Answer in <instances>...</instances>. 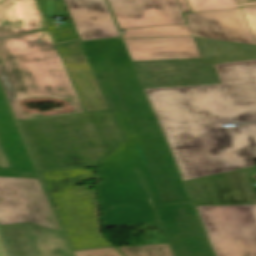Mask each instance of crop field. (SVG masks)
Instances as JSON below:
<instances>
[{
	"label": "crop field",
	"instance_id": "obj_11",
	"mask_svg": "<svg viewBox=\"0 0 256 256\" xmlns=\"http://www.w3.org/2000/svg\"><path fill=\"white\" fill-rule=\"evenodd\" d=\"M185 16L194 36L256 45L241 8L189 13Z\"/></svg>",
	"mask_w": 256,
	"mask_h": 256
},
{
	"label": "crop field",
	"instance_id": "obj_2",
	"mask_svg": "<svg viewBox=\"0 0 256 256\" xmlns=\"http://www.w3.org/2000/svg\"><path fill=\"white\" fill-rule=\"evenodd\" d=\"M121 39L82 43L152 205L191 202Z\"/></svg>",
	"mask_w": 256,
	"mask_h": 256
},
{
	"label": "crop field",
	"instance_id": "obj_21",
	"mask_svg": "<svg viewBox=\"0 0 256 256\" xmlns=\"http://www.w3.org/2000/svg\"><path fill=\"white\" fill-rule=\"evenodd\" d=\"M192 12L256 5V0H188Z\"/></svg>",
	"mask_w": 256,
	"mask_h": 256
},
{
	"label": "crop field",
	"instance_id": "obj_12",
	"mask_svg": "<svg viewBox=\"0 0 256 256\" xmlns=\"http://www.w3.org/2000/svg\"><path fill=\"white\" fill-rule=\"evenodd\" d=\"M0 177L39 178L1 90Z\"/></svg>",
	"mask_w": 256,
	"mask_h": 256
},
{
	"label": "crop field",
	"instance_id": "obj_8",
	"mask_svg": "<svg viewBox=\"0 0 256 256\" xmlns=\"http://www.w3.org/2000/svg\"><path fill=\"white\" fill-rule=\"evenodd\" d=\"M120 29L186 23L187 0H108Z\"/></svg>",
	"mask_w": 256,
	"mask_h": 256
},
{
	"label": "crop field",
	"instance_id": "obj_1",
	"mask_svg": "<svg viewBox=\"0 0 256 256\" xmlns=\"http://www.w3.org/2000/svg\"><path fill=\"white\" fill-rule=\"evenodd\" d=\"M223 84L146 89L185 181L256 165V60L215 65Z\"/></svg>",
	"mask_w": 256,
	"mask_h": 256
},
{
	"label": "crop field",
	"instance_id": "obj_19",
	"mask_svg": "<svg viewBox=\"0 0 256 256\" xmlns=\"http://www.w3.org/2000/svg\"><path fill=\"white\" fill-rule=\"evenodd\" d=\"M56 43L78 39L72 25L59 26L53 16H65L61 0H37Z\"/></svg>",
	"mask_w": 256,
	"mask_h": 256
},
{
	"label": "crop field",
	"instance_id": "obj_20",
	"mask_svg": "<svg viewBox=\"0 0 256 256\" xmlns=\"http://www.w3.org/2000/svg\"><path fill=\"white\" fill-rule=\"evenodd\" d=\"M124 38L193 35L188 24L127 29Z\"/></svg>",
	"mask_w": 256,
	"mask_h": 256
},
{
	"label": "crop field",
	"instance_id": "obj_9",
	"mask_svg": "<svg viewBox=\"0 0 256 256\" xmlns=\"http://www.w3.org/2000/svg\"><path fill=\"white\" fill-rule=\"evenodd\" d=\"M146 88L222 83L202 59L134 62Z\"/></svg>",
	"mask_w": 256,
	"mask_h": 256
},
{
	"label": "crop field",
	"instance_id": "obj_13",
	"mask_svg": "<svg viewBox=\"0 0 256 256\" xmlns=\"http://www.w3.org/2000/svg\"><path fill=\"white\" fill-rule=\"evenodd\" d=\"M186 183L196 205L251 203L240 169Z\"/></svg>",
	"mask_w": 256,
	"mask_h": 256
},
{
	"label": "crop field",
	"instance_id": "obj_5",
	"mask_svg": "<svg viewBox=\"0 0 256 256\" xmlns=\"http://www.w3.org/2000/svg\"><path fill=\"white\" fill-rule=\"evenodd\" d=\"M196 209L216 256H256V204Z\"/></svg>",
	"mask_w": 256,
	"mask_h": 256
},
{
	"label": "crop field",
	"instance_id": "obj_16",
	"mask_svg": "<svg viewBox=\"0 0 256 256\" xmlns=\"http://www.w3.org/2000/svg\"><path fill=\"white\" fill-rule=\"evenodd\" d=\"M125 40L135 61L202 58L193 37Z\"/></svg>",
	"mask_w": 256,
	"mask_h": 256
},
{
	"label": "crop field",
	"instance_id": "obj_3",
	"mask_svg": "<svg viewBox=\"0 0 256 256\" xmlns=\"http://www.w3.org/2000/svg\"><path fill=\"white\" fill-rule=\"evenodd\" d=\"M0 83L17 120L43 116L23 114L18 99L54 97L69 99L75 112L85 113L49 31L0 39Z\"/></svg>",
	"mask_w": 256,
	"mask_h": 256
},
{
	"label": "crop field",
	"instance_id": "obj_6",
	"mask_svg": "<svg viewBox=\"0 0 256 256\" xmlns=\"http://www.w3.org/2000/svg\"><path fill=\"white\" fill-rule=\"evenodd\" d=\"M22 222L61 229L38 179L0 178V225Z\"/></svg>",
	"mask_w": 256,
	"mask_h": 256
},
{
	"label": "crop field",
	"instance_id": "obj_17",
	"mask_svg": "<svg viewBox=\"0 0 256 256\" xmlns=\"http://www.w3.org/2000/svg\"><path fill=\"white\" fill-rule=\"evenodd\" d=\"M47 28L36 0H0V38Z\"/></svg>",
	"mask_w": 256,
	"mask_h": 256
},
{
	"label": "crop field",
	"instance_id": "obj_18",
	"mask_svg": "<svg viewBox=\"0 0 256 256\" xmlns=\"http://www.w3.org/2000/svg\"><path fill=\"white\" fill-rule=\"evenodd\" d=\"M205 65L256 59V46L194 37Z\"/></svg>",
	"mask_w": 256,
	"mask_h": 256
},
{
	"label": "crop field",
	"instance_id": "obj_15",
	"mask_svg": "<svg viewBox=\"0 0 256 256\" xmlns=\"http://www.w3.org/2000/svg\"><path fill=\"white\" fill-rule=\"evenodd\" d=\"M80 39L120 36L105 0H64Z\"/></svg>",
	"mask_w": 256,
	"mask_h": 256
},
{
	"label": "crop field",
	"instance_id": "obj_25",
	"mask_svg": "<svg viewBox=\"0 0 256 256\" xmlns=\"http://www.w3.org/2000/svg\"><path fill=\"white\" fill-rule=\"evenodd\" d=\"M0 256H9L1 235H0Z\"/></svg>",
	"mask_w": 256,
	"mask_h": 256
},
{
	"label": "crop field",
	"instance_id": "obj_4",
	"mask_svg": "<svg viewBox=\"0 0 256 256\" xmlns=\"http://www.w3.org/2000/svg\"><path fill=\"white\" fill-rule=\"evenodd\" d=\"M96 170L103 228L158 222L124 142Z\"/></svg>",
	"mask_w": 256,
	"mask_h": 256
},
{
	"label": "crop field",
	"instance_id": "obj_7",
	"mask_svg": "<svg viewBox=\"0 0 256 256\" xmlns=\"http://www.w3.org/2000/svg\"><path fill=\"white\" fill-rule=\"evenodd\" d=\"M154 208L175 256H213L191 203Z\"/></svg>",
	"mask_w": 256,
	"mask_h": 256
},
{
	"label": "crop field",
	"instance_id": "obj_14",
	"mask_svg": "<svg viewBox=\"0 0 256 256\" xmlns=\"http://www.w3.org/2000/svg\"><path fill=\"white\" fill-rule=\"evenodd\" d=\"M86 112L108 110L79 41L57 45Z\"/></svg>",
	"mask_w": 256,
	"mask_h": 256
},
{
	"label": "crop field",
	"instance_id": "obj_10",
	"mask_svg": "<svg viewBox=\"0 0 256 256\" xmlns=\"http://www.w3.org/2000/svg\"><path fill=\"white\" fill-rule=\"evenodd\" d=\"M1 228L13 256H72L60 231L30 223Z\"/></svg>",
	"mask_w": 256,
	"mask_h": 256
},
{
	"label": "crop field",
	"instance_id": "obj_22",
	"mask_svg": "<svg viewBox=\"0 0 256 256\" xmlns=\"http://www.w3.org/2000/svg\"><path fill=\"white\" fill-rule=\"evenodd\" d=\"M126 256H174L169 244L118 247Z\"/></svg>",
	"mask_w": 256,
	"mask_h": 256
},
{
	"label": "crop field",
	"instance_id": "obj_23",
	"mask_svg": "<svg viewBox=\"0 0 256 256\" xmlns=\"http://www.w3.org/2000/svg\"><path fill=\"white\" fill-rule=\"evenodd\" d=\"M74 253L76 256H123L116 248L83 250Z\"/></svg>",
	"mask_w": 256,
	"mask_h": 256
},
{
	"label": "crop field",
	"instance_id": "obj_24",
	"mask_svg": "<svg viewBox=\"0 0 256 256\" xmlns=\"http://www.w3.org/2000/svg\"><path fill=\"white\" fill-rule=\"evenodd\" d=\"M256 40V7L242 8Z\"/></svg>",
	"mask_w": 256,
	"mask_h": 256
}]
</instances>
